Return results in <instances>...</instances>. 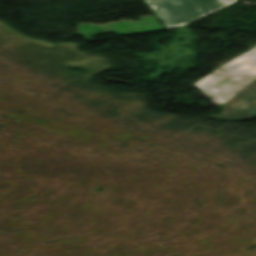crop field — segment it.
<instances>
[{"label": "crop field", "mask_w": 256, "mask_h": 256, "mask_svg": "<svg viewBox=\"0 0 256 256\" xmlns=\"http://www.w3.org/2000/svg\"><path fill=\"white\" fill-rule=\"evenodd\" d=\"M167 29L189 24L226 6L223 0H147Z\"/></svg>", "instance_id": "8a807250"}, {"label": "crop field", "mask_w": 256, "mask_h": 256, "mask_svg": "<svg viewBox=\"0 0 256 256\" xmlns=\"http://www.w3.org/2000/svg\"><path fill=\"white\" fill-rule=\"evenodd\" d=\"M255 79V72L236 70L217 76L200 88L215 96L218 101L225 102Z\"/></svg>", "instance_id": "ac0d7876"}, {"label": "crop field", "mask_w": 256, "mask_h": 256, "mask_svg": "<svg viewBox=\"0 0 256 256\" xmlns=\"http://www.w3.org/2000/svg\"><path fill=\"white\" fill-rule=\"evenodd\" d=\"M216 118L256 117V80L224 103L223 113Z\"/></svg>", "instance_id": "34b2d1b8"}, {"label": "crop field", "mask_w": 256, "mask_h": 256, "mask_svg": "<svg viewBox=\"0 0 256 256\" xmlns=\"http://www.w3.org/2000/svg\"><path fill=\"white\" fill-rule=\"evenodd\" d=\"M256 58V48L250 51L249 53L241 56L240 58L236 59L235 61L224 65L217 71H215L212 75L206 77L199 83H197V86H200L208 81H210L212 78H214L217 75H222L231 71H234L236 69H245V70H250V71H255L256 72V67L254 65Z\"/></svg>", "instance_id": "412701ff"}, {"label": "crop field", "mask_w": 256, "mask_h": 256, "mask_svg": "<svg viewBox=\"0 0 256 256\" xmlns=\"http://www.w3.org/2000/svg\"><path fill=\"white\" fill-rule=\"evenodd\" d=\"M237 0H225V2L227 3V6L236 2Z\"/></svg>", "instance_id": "f4fd0767"}]
</instances>
